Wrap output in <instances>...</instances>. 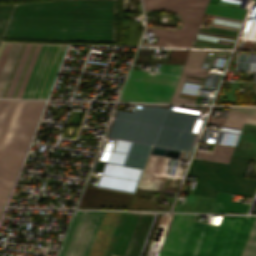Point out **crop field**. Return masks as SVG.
<instances>
[{
	"mask_svg": "<svg viewBox=\"0 0 256 256\" xmlns=\"http://www.w3.org/2000/svg\"><path fill=\"white\" fill-rule=\"evenodd\" d=\"M115 0L0 5L2 38L114 42Z\"/></svg>",
	"mask_w": 256,
	"mask_h": 256,
	"instance_id": "crop-field-1",
	"label": "crop field"
},
{
	"mask_svg": "<svg viewBox=\"0 0 256 256\" xmlns=\"http://www.w3.org/2000/svg\"><path fill=\"white\" fill-rule=\"evenodd\" d=\"M7 44L0 45V62ZM28 45L8 44L0 65V97H10ZM66 47L30 44L10 98L46 99Z\"/></svg>",
	"mask_w": 256,
	"mask_h": 256,
	"instance_id": "crop-field-2",
	"label": "crop field"
},
{
	"mask_svg": "<svg viewBox=\"0 0 256 256\" xmlns=\"http://www.w3.org/2000/svg\"><path fill=\"white\" fill-rule=\"evenodd\" d=\"M43 103L0 100V206L6 203Z\"/></svg>",
	"mask_w": 256,
	"mask_h": 256,
	"instance_id": "crop-field-3",
	"label": "crop field"
},
{
	"mask_svg": "<svg viewBox=\"0 0 256 256\" xmlns=\"http://www.w3.org/2000/svg\"><path fill=\"white\" fill-rule=\"evenodd\" d=\"M207 2L208 0H144L145 10L178 12L184 27L179 30L148 28L147 31L156 32L157 42H142V45L190 47Z\"/></svg>",
	"mask_w": 256,
	"mask_h": 256,
	"instance_id": "crop-field-4",
	"label": "crop field"
},
{
	"mask_svg": "<svg viewBox=\"0 0 256 256\" xmlns=\"http://www.w3.org/2000/svg\"><path fill=\"white\" fill-rule=\"evenodd\" d=\"M208 256H256V217L223 216Z\"/></svg>",
	"mask_w": 256,
	"mask_h": 256,
	"instance_id": "crop-field-5",
	"label": "crop field"
},
{
	"mask_svg": "<svg viewBox=\"0 0 256 256\" xmlns=\"http://www.w3.org/2000/svg\"><path fill=\"white\" fill-rule=\"evenodd\" d=\"M178 77L131 69L120 100L169 102ZM140 79L139 81H135Z\"/></svg>",
	"mask_w": 256,
	"mask_h": 256,
	"instance_id": "crop-field-6",
	"label": "crop field"
},
{
	"mask_svg": "<svg viewBox=\"0 0 256 256\" xmlns=\"http://www.w3.org/2000/svg\"><path fill=\"white\" fill-rule=\"evenodd\" d=\"M104 213L77 211L59 256H88Z\"/></svg>",
	"mask_w": 256,
	"mask_h": 256,
	"instance_id": "crop-field-7",
	"label": "crop field"
},
{
	"mask_svg": "<svg viewBox=\"0 0 256 256\" xmlns=\"http://www.w3.org/2000/svg\"><path fill=\"white\" fill-rule=\"evenodd\" d=\"M140 213H128L111 256H123ZM157 214L141 213L124 256H142Z\"/></svg>",
	"mask_w": 256,
	"mask_h": 256,
	"instance_id": "crop-field-8",
	"label": "crop field"
},
{
	"mask_svg": "<svg viewBox=\"0 0 256 256\" xmlns=\"http://www.w3.org/2000/svg\"><path fill=\"white\" fill-rule=\"evenodd\" d=\"M214 18L233 21V22H239V23L242 22L240 20L228 19V18L217 17V16H215ZM216 19L213 20L211 27L200 25L197 32L232 37V38L236 37V33L240 26L239 23L227 22V21L216 20ZM200 33L196 34L195 39H194L195 42H201V43L231 48V46L235 40L232 38L206 35V34H200ZM195 42H193L192 45L201 46V47H218V46L206 45V44L195 43ZM192 47H194V46H192Z\"/></svg>",
	"mask_w": 256,
	"mask_h": 256,
	"instance_id": "crop-field-9",
	"label": "crop field"
},
{
	"mask_svg": "<svg viewBox=\"0 0 256 256\" xmlns=\"http://www.w3.org/2000/svg\"><path fill=\"white\" fill-rule=\"evenodd\" d=\"M195 216L174 214L159 256H180Z\"/></svg>",
	"mask_w": 256,
	"mask_h": 256,
	"instance_id": "crop-field-10",
	"label": "crop field"
},
{
	"mask_svg": "<svg viewBox=\"0 0 256 256\" xmlns=\"http://www.w3.org/2000/svg\"><path fill=\"white\" fill-rule=\"evenodd\" d=\"M217 229L211 224L192 228L181 256H207Z\"/></svg>",
	"mask_w": 256,
	"mask_h": 256,
	"instance_id": "crop-field-11",
	"label": "crop field"
},
{
	"mask_svg": "<svg viewBox=\"0 0 256 256\" xmlns=\"http://www.w3.org/2000/svg\"><path fill=\"white\" fill-rule=\"evenodd\" d=\"M232 196L218 192L210 212H243L246 213L247 204L230 202Z\"/></svg>",
	"mask_w": 256,
	"mask_h": 256,
	"instance_id": "crop-field-12",
	"label": "crop field"
},
{
	"mask_svg": "<svg viewBox=\"0 0 256 256\" xmlns=\"http://www.w3.org/2000/svg\"><path fill=\"white\" fill-rule=\"evenodd\" d=\"M245 11L246 10L244 9H238V8L208 3L205 13L242 20L245 14Z\"/></svg>",
	"mask_w": 256,
	"mask_h": 256,
	"instance_id": "crop-field-13",
	"label": "crop field"
},
{
	"mask_svg": "<svg viewBox=\"0 0 256 256\" xmlns=\"http://www.w3.org/2000/svg\"><path fill=\"white\" fill-rule=\"evenodd\" d=\"M233 148L234 147H231V146L217 144L213 154L197 152L195 157L228 163L231 153L233 151Z\"/></svg>",
	"mask_w": 256,
	"mask_h": 256,
	"instance_id": "crop-field-14",
	"label": "crop field"
},
{
	"mask_svg": "<svg viewBox=\"0 0 256 256\" xmlns=\"http://www.w3.org/2000/svg\"><path fill=\"white\" fill-rule=\"evenodd\" d=\"M183 65L162 64L158 71L171 74H180Z\"/></svg>",
	"mask_w": 256,
	"mask_h": 256,
	"instance_id": "crop-field-15",
	"label": "crop field"
},
{
	"mask_svg": "<svg viewBox=\"0 0 256 256\" xmlns=\"http://www.w3.org/2000/svg\"><path fill=\"white\" fill-rule=\"evenodd\" d=\"M153 50H143L140 49L137 56H149V54H152Z\"/></svg>",
	"mask_w": 256,
	"mask_h": 256,
	"instance_id": "crop-field-16",
	"label": "crop field"
},
{
	"mask_svg": "<svg viewBox=\"0 0 256 256\" xmlns=\"http://www.w3.org/2000/svg\"><path fill=\"white\" fill-rule=\"evenodd\" d=\"M137 58H144V57H137ZM136 62H146L148 63V59H137Z\"/></svg>",
	"mask_w": 256,
	"mask_h": 256,
	"instance_id": "crop-field-17",
	"label": "crop field"
},
{
	"mask_svg": "<svg viewBox=\"0 0 256 256\" xmlns=\"http://www.w3.org/2000/svg\"><path fill=\"white\" fill-rule=\"evenodd\" d=\"M1 211H2V210H1V208H0V213H1Z\"/></svg>",
	"mask_w": 256,
	"mask_h": 256,
	"instance_id": "crop-field-18",
	"label": "crop field"
}]
</instances>
